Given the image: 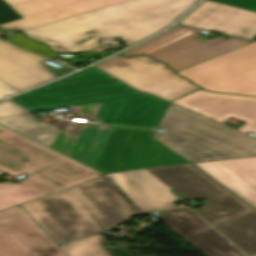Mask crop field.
<instances>
[{"label":"crop field","instance_id":"obj_1","mask_svg":"<svg viewBox=\"0 0 256 256\" xmlns=\"http://www.w3.org/2000/svg\"><path fill=\"white\" fill-rule=\"evenodd\" d=\"M199 0H132L32 29L24 30L27 37L47 44L53 51L65 53L87 52L99 45L101 37L76 44L95 31L106 39L121 38L127 46L143 40L169 24ZM104 47V46H100ZM122 47L96 48L102 52Z\"/></svg>","mask_w":256,"mask_h":256},{"label":"crop field","instance_id":"obj_2","mask_svg":"<svg viewBox=\"0 0 256 256\" xmlns=\"http://www.w3.org/2000/svg\"><path fill=\"white\" fill-rule=\"evenodd\" d=\"M21 206L57 244L99 234L137 214L103 176Z\"/></svg>","mask_w":256,"mask_h":256},{"label":"crop field","instance_id":"obj_3","mask_svg":"<svg viewBox=\"0 0 256 256\" xmlns=\"http://www.w3.org/2000/svg\"><path fill=\"white\" fill-rule=\"evenodd\" d=\"M185 199L205 198L194 208L249 255L256 253V211L193 164L146 169Z\"/></svg>","mask_w":256,"mask_h":256},{"label":"crop field","instance_id":"obj_4","mask_svg":"<svg viewBox=\"0 0 256 256\" xmlns=\"http://www.w3.org/2000/svg\"><path fill=\"white\" fill-rule=\"evenodd\" d=\"M159 140L194 162L256 156V140L170 104L159 124Z\"/></svg>","mask_w":256,"mask_h":256},{"label":"crop field","instance_id":"obj_5","mask_svg":"<svg viewBox=\"0 0 256 256\" xmlns=\"http://www.w3.org/2000/svg\"><path fill=\"white\" fill-rule=\"evenodd\" d=\"M0 171L45 195L101 176L0 126Z\"/></svg>","mask_w":256,"mask_h":256},{"label":"crop field","instance_id":"obj_6","mask_svg":"<svg viewBox=\"0 0 256 256\" xmlns=\"http://www.w3.org/2000/svg\"><path fill=\"white\" fill-rule=\"evenodd\" d=\"M140 94L143 93L90 67L11 100L36 112Z\"/></svg>","mask_w":256,"mask_h":256},{"label":"crop field","instance_id":"obj_7","mask_svg":"<svg viewBox=\"0 0 256 256\" xmlns=\"http://www.w3.org/2000/svg\"><path fill=\"white\" fill-rule=\"evenodd\" d=\"M177 74L206 91L256 97V42Z\"/></svg>","mask_w":256,"mask_h":256},{"label":"crop field","instance_id":"obj_8","mask_svg":"<svg viewBox=\"0 0 256 256\" xmlns=\"http://www.w3.org/2000/svg\"><path fill=\"white\" fill-rule=\"evenodd\" d=\"M198 30L175 26L168 32L123 54L132 57L146 54L166 63L175 72L209 58L241 47L251 41L232 38L228 42L218 37L202 42L196 39Z\"/></svg>","mask_w":256,"mask_h":256},{"label":"crop field","instance_id":"obj_9","mask_svg":"<svg viewBox=\"0 0 256 256\" xmlns=\"http://www.w3.org/2000/svg\"><path fill=\"white\" fill-rule=\"evenodd\" d=\"M95 66L141 91L169 101L198 89V86L176 75L165 64L146 56H116Z\"/></svg>","mask_w":256,"mask_h":256},{"label":"crop field","instance_id":"obj_10","mask_svg":"<svg viewBox=\"0 0 256 256\" xmlns=\"http://www.w3.org/2000/svg\"><path fill=\"white\" fill-rule=\"evenodd\" d=\"M0 256H67L19 205L0 212Z\"/></svg>","mask_w":256,"mask_h":256},{"label":"crop field","instance_id":"obj_11","mask_svg":"<svg viewBox=\"0 0 256 256\" xmlns=\"http://www.w3.org/2000/svg\"><path fill=\"white\" fill-rule=\"evenodd\" d=\"M172 102L219 123L230 117L244 121L246 123L237 130L256 133V98L216 94L199 89Z\"/></svg>","mask_w":256,"mask_h":256},{"label":"crop field","instance_id":"obj_12","mask_svg":"<svg viewBox=\"0 0 256 256\" xmlns=\"http://www.w3.org/2000/svg\"><path fill=\"white\" fill-rule=\"evenodd\" d=\"M162 220L207 256H247L189 208L162 211Z\"/></svg>","mask_w":256,"mask_h":256},{"label":"crop field","instance_id":"obj_13","mask_svg":"<svg viewBox=\"0 0 256 256\" xmlns=\"http://www.w3.org/2000/svg\"><path fill=\"white\" fill-rule=\"evenodd\" d=\"M106 176L141 213L174 208L182 198L145 169Z\"/></svg>","mask_w":256,"mask_h":256},{"label":"crop field","instance_id":"obj_14","mask_svg":"<svg viewBox=\"0 0 256 256\" xmlns=\"http://www.w3.org/2000/svg\"><path fill=\"white\" fill-rule=\"evenodd\" d=\"M129 0H30L11 5L24 19L1 28L28 29Z\"/></svg>","mask_w":256,"mask_h":256},{"label":"crop field","instance_id":"obj_15","mask_svg":"<svg viewBox=\"0 0 256 256\" xmlns=\"http://www.w3.org/2000/svg\"><path fill=\"white\" fill-rule=\"evenodd\" d=\"M178 24L248 39L256 35L255 12L208 1L202 3Z\"/></svg>","mask_w":256,"mask_h":256},{"label":"crop field","instance_id":"obj_16","mask_svg":"<svg viewBox=\"0 0 256 256\" xmlns=\"http://www.w3.org/2000/svg\"><path fill=\"white\" fill-rule=\"evenodd\" d=\"M167 103L150 94L106 101L96 123L154 129Z\"/></svg>","mask_w":256,"mask_h":256},{"label":"crop field","instance_id":"obj_17","mask_svg":"<svg viewBox=\"0 0 256 256\" xmlns=\"http://www.w3.org/2000/svg\"><path fill=\"white\" fill-rule=\"evenodd\" d=\"M45 58L20 50L0 38V79L21 92L56 78L42 64Z\"/></svg>","mask_w":256,"mask_h":256},{"label":"crop field","instance_id":"obj_18","mask_svg":"<svg viewBox=\"0 0 256 256\" xmlns=\"http://www.w3.org/2000/svg\"><path fill=\"white\" fill-rule=\"evenodd\" d=\"M197 167L256 208V157L195 163Z\"/></svg>","mask_w":256,"mask_h":256},{"label":"crop field","instance_id":"obj_19","mask_svg":"<svg viewBox=\"0 0 256 256\" xmlns=\"http://www.w3.org/2000/svg\"><path fill=\"white\" fill-rule=\"evenodd\" d=\"M0 124L49 148L60 130L41 121L9 100L0 102Z\"/></svg>","mask_w":256,"mask_h":256},{"label":"crop field","instance_id":"obj_20","mask_svg":"<svg viewBox=\"0 0 256 256\" xmlns=\"http://www.w3.org/2000/svg\"><path fill=\"white\" fill-rule=\"evenodd\" d=\"M42 196L45 195L20 184L0 183V211Z\"/></svg>","mask_w":256,"mask_h":256},{"label":"crop field","instance_id":"obj_21","mask_svg":"<svg viewBox=\"0 0 256 256\" xmlns=\"http://www.w3.org/2000/svg\"><path fill=\"white\" fill-rule=\"evenodd\" d=\"M106 242L100 235L65 243L60 248L68 256H110L100 243Z\"/></svg>","mask_w":256,"mask_h":256},{"label":"crop field","instance_id":"obj_22","mask_svg":"<svg viewBox=\"0 0 256 256\" xmlns=\"http://www.w3.org/2000/svg\"><path fill=\"white\" fill-rule=\"evenodd\" d=\"M7 40V39H6ZM8 42L12 43L13 45L23 48L25 50L31 51L33 53L42 55L44 57L50 58L57 53L51 52L48 48H46L42 43L30 40L25 38L22 33L7 40Z\"/></svg>","mask_w":256,"mask_h":256},{"label":"crop field","instance_id":"obj_23","mask_svg":"<svg viewBox=\"0 0 256 256\" xmlns=\"http://www.w3.org/2000/svg\"><path fill=\"white\" fill-rule=\"evenodd\" d=\"M22 18L23 17L19 15L14 9H12L7 3H5L3 0H0V24Z\"/></svg>","mask_w":256,"mask_h":256},{"label":"crop field","instance_id":"obj_24","mask_svg":"<svg viewBox=\"0 0 256 256\" xmlns=\"http://www.w3.org/2000/svg\"><path fill=\"white\" fill-rule=\"evenodd\" d=\"M256 12V0H208Z\"/></svg>","mask_w":256,"mask_h":256},{"label":"crop field","instance_id":"obj_25","mask_svg":"<svg viewBox=\"0 0 256 256\" xmlns=\"http://www.w3.org/2000/svg\"><path fill=\"white\" fill-rule=\"evenodd\" d=\"M14 93L18 92L0 80V98Z\"/></svg>","mask_w":256,"mask_h":256},{"label":"crop field","instance_id":"obj_26","mask_svg":"<svg viewBox=\"0 0 256 256\" xmlns=\"http://www.w3.org/2000/svg\"><path fill=\"white\" fill-rule=\"evenodd\" d=\"M109 54H111V52H103V53H100V54H81V56H83L85 59H88L92 55H96V56H98L99 58L102 59V58L106 57Z\"/></svg>","mask_w":256,"mask_h":256},{"label":"crop field","instance_id":"obj_27","mask_svg":"<svg viewBox=\"0 0 256 256\" xmlns=\"http://www.w3.org/2000/svg\"><path fill=\"white\" fill-rule=\"evenodd\" d=\"M4 1H6L9 5H11V4L19 3L26 0H4Z\"/></svg>","mask_w":256,"mask_h":256},{"label":"crop field","instance_id":"obj_28","mask_svg":"<svg viewBox=\"0 0 256 256\" xmlns=\"http://www.w3.org/2000/svg\"><path fill=\"white\" fill-rule=\"evenodd\" d=\"M66 60L71 61V64H73V65H75V64H77V63H79V62H81V61L77 60V57H76V58H73V59H66Z\"/></svg>","mask_w":256,"mask_h":256},{"label":"crop field","instance_id":"obj_29","mask_svg":"<svg viewBox=\"0 0 256 256\" xmlns=\"http://www.w3.org/2000/svg\"><path fill=\"white\" fill-rule=\"evenodd\" d=\"M253 40H256V36L254 38H252Z\"/></svg>","mask_w":256,"mask_h":256},{"label":"crop field","instance_id":"obj_30","mask_svg":"<svg viewBox=\"0 0 256 256\" xmlns=\"http://www.w3.org/2000/svg\"><path fill=\"white\" fill-rule=\"evenodd\" d=\"M254 256H256V255H254Z\"/></svg>","mask_w":256,"mask_h":256}]
</instances>
